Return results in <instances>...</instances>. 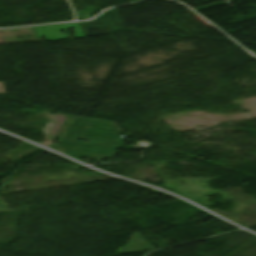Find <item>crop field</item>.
Wrapping results in <instances>:
<instances>
[{"mask_svg": "<svg viewBox=\"0 0 256 256\" xmlns=\"http://www.w3.org/2000/svg\"><path fill=\"white\" fill-rule=\"evenodd\" d=\"M71 26L75 28V30H73V38L85 37L78 23L40 26L35 28L40 41L42 36H45L46 40L69 38L67 28ZM61 30H65L66 36L62 35Z\"/></svg>", "mask_w": 256, "mask_h": 256, "instance_id": "ac0d7876", "label": "crop field"}, {"mask_svg": "<svg viewBox=\"0 0 256 256\" xmlns=\"http://www.w3.org/2000/svg\"><path fill=\"white\" fill-rule=\"evenodd\" d=\"M0 93H5L2 82H0Z\"/></svg>", "mask_w": 256, "mask_h": 256, "instance_id": "34b2d1b8", "label": "crop field"}, {"mask_svg": "<svg viewBox=\"0 0 256 256\" xmlns=\"http://www.w3.org/2000/svg\"><path fill=\"white\" fill-rule=\"evenodd\" d=\"M67 121H70L67 123ZM59 134V140L72 143L59 142L53 148L74 158L81 156L100 159L111 157L116 146L122 143L114 141L120 133L114 122L86 119L69 116ZM77 138L92 141L90 144L76 141Z\"/></svg>", "mask_w": 256, "mask_h": 256, "instance_id": "8a807250", "label": "crop field"}]
</instances>
